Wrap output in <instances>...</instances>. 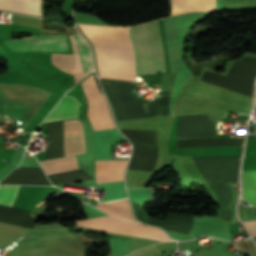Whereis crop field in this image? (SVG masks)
<instances>
[{
    "instance_id": "crop-field-3",
    "label": "crop field",
    "mask_w": 256,
    "mask_h": 256,
    "mask_svg": "<svg viewBox=\"0 0 256 256\" xmlns=\"http://www.w3.org/2000/svg\"><path fill=\"white\" fill-rule=\"evenodd\" d=\"M138 74L165 72L157 20L130 28Z\"/></svg>"
},
{
    "instance_id": "crop-field-20",
    "label": "crop field",
    "mask_w": 256,
    "mask_h": 256,
    "mask_svg": "<svg viewBox=\"0 0 256 256\" xmlns=\"http://www.w3.org/2000/svg\"><path fill=\"white\" fill-rule=\"evenodd\" d=\"M244 224L251 235L256 234V221L244 222Z\"/></svg>"
},
{
    "instance_id": "crop-field-2",
    "label": "crop field",
    "mask_w": 256,
    "mask_h": 256,
    "mask_svg": "<svg viewBox=\"0 0 256 256\" xmlns=\"http://www.w3.org/2000/svg\"><path fill=\"white\" fill-rule=\"evenodd\" d=\"M99 80L117 121L169 115V99L172 90L159 93V99L147 104L132 95V82Z\"/></svg>"
},
{
    "instance_id": "crop-field-7",
    "label": "crop field",
    "mask_w": 256,
    "mask_h": 256,
    "mask_svg": "<svg viewBox=\"0 0 256 256\" xmlns=\"http://www.w3.org/2000/svg\"><path fill=\"white\" fill-rule=\"evenodd\" d=\"M70 38L74 52V82H77L92 70L93 64L86 42L77 33L71 35Z\"/></svg>"
},
{
    "instance_id": "crop-field-12",
    "label": "crop field",
    "mask_w": 256,
    "mask_h": 256,
    "mask_svg": "<svg viewBox=\"0 0 256 256\" xmlns=\"http://www.w3.org/2000/svg\"><path fill=\"white\" fill-rule=\"evenodd\" d=\"M0 9L40 16V0H0Z\"/></svg>"
},
{
    "instance_id": "crop-field-14",
    "label": "crop field",
    "mask_w": 256,
    "mask_h": 256,
    "mask_svg": "<svg viewBox=\"0 0 256 256\" xmlns=\"http://www.w3.org/2000/svg\"><path fill=\"white\" fill-rule=\"evenodd\" d=\"M243 199L256 206V170L242 171Z\"/></svg>"
},
{
    "instance_id": "crop-field-21",
    "label": "crop field",
    "mask_w": 256,
    "mask_h": 256,
    "mask_svg": "<svg viewBox=\"0 0 256 256\" xmlns=\"http://www.w3.org/2000/svg\"><path fill=\"white\" fill-rule=\"evenodd\" d=\"M254 105H256V97H255V104Z\"/></svg>"
},
{
    "instance_id": "crop-field-16",
    "label": "crop field",
    "mask_w": 256,
    "mask_h": 256,
    "mask_svg": "<svg viewBox=\"0 0 256 256\" xmlns=\"http://www.w3.org/2000/svg\"><path fill=\"white\" fill-rule=\"evenodd\" d=\"M21 186L1 185L0 205L11 207Z\"/></svg>"
},
{
    "instance_id": "crop-field-19",
    "label": "crop field",
    "mask_w": 256,
    "mask_h": 256,
    "mask_svg": "<svg viewBox=\"0 0 256 256\" xmlns=\"http://www.w3.org/2000/svg\"><path fill=\"white\" fill-rule=\"evenodd\" d=\"M157 254H161V251L159 250L157 245H153L140 249L129 256H154Z\"/></svg>"
},
{
    "instance_id": "crop-field-6",
    "label": "crop field",
    "mask_w": 256,
    "mask_h": 256,
    "mask_svg": "<svg viewBox=\"0 0 256 256\" xmlns=\"http://www.w3.org/2000/svg\"><path fill=\"white\" fill-rule=\"evenodd\" d=\"M4 43L13 51L45 50L68 52L65 35L32 36L19 40H5Z\"/></svg>"
},
{
    "instance_id": "crop-field-15",
    "label": "crop field",
    "mask_w": 256,
    "mask_h": 256,
    "mask_svg": "<svg viewBox=\"0 0 256 256\" xmlns=\"http://www.w3.org/2000/svg\"><path fill=\"white\" fill-rule=\"evenodd\" d=\"M95 207H97L105 212L117 215L119 217L134 220L131 216L127 199L116 201V202H111V203H98L97 202V205ZM134 221H136V220H134Z\"/></svg>"
},
{
    "instance_id": "crop-field-17",
    "label": "crop field",
    "mask_w": 256,
    "mask_h": 256,
    "mask_svg": "<svg viewBox=\"0 0 256 256\" xmlns=\"http://www.w3.org/2000/svg\"><path fill=\"white\" fill-rule=\"evenodd\" d=\"M51 62L60 70L73 74V55L52 54Z\"/></svg>"
},
{
    "instance_id": "crop-field-8",
    "label": "crop field",
    "mask_w": 256,
    "mask_h": 256,
    "mask_svg": "<svg viewBox=\"0 0 256 256\" xmlns=\"http://www.w3.org/2000/svg\"><path fill=\"white\" fill-rule=\"evenodd\" d=\"M65 156L86 153L82 123L79 120L63 122Z\"/></svg>"
},
{
    "instance_id": "crop-field-4",
    "label": "crop field",
    "mask_w": 256,
    "mask_h": 256,
    "mask_svg": "<svg viewBox=\"0 0 256 256\" xmlns=\"http://www.w3.org/2000/svg\"><path fill=\"white\" fill-rule=\"evenodd\" d=\"M76 224L91 227L100 231L122 233L162 241L171 240L164 232L157 228L148 226L144 227L140 223H133L113 216L78 220L76 221Z\"/></svg>"
},
{
    "instance_id": "crop-field-9",
    "label": "crop field",
    "mask_w": 256,
    "mask_h": 256,
    "mask_svg": "<svg viewBox=\"0 0 256 256\" xmlns=\"http://www.w3.org/2000/svg\"><path fill=\"white\" fill-rule=\"evenodd\" d=\"M128 160L95 161L96 182L123 180V173Z\"/></svg>"
},
{
    "instance_id": "crop-field-10",
    "label": "crop field",
    "mask_w": 256,
    "mask_h": 256,
    "mask_svg": "<svg viewBox=\"0 0 256 256\" xmlns=\"http://www.w3.org/2000/svg\"><path fill=\"white\" fill-rule=\"evenodd\" d=\"M79 105L75 97L65 95L44 122L77 118Z\"/></svg>"
},
{
    "instance_id": "crop-field-18",
    "label": "crop field",
    "mask_w": 256,
    "mask_h": 256,
    "mask_svg": "<svg viewBox=\"0 0 256 256\" xmlns=\"http://www.w3.org/2000/svg\"><path fill=\"white\" fill-rule=\"evenodd\" d=\"M235 246L240 249L246 256H256V248L252 241L244 240L240 242H234Z\"/></svg>"
},
{
    "instance_id": "crop-field-13",
    "label": "crop field",
    "mask_w": 256,
    "mask_h": 256,
    "mask_svg": "<svg viewBox=\"0 0 256 256\" xmlns=\"http://www.w3.org/2000/svg\"><path fill=\"white\" fill-rule=\"evenodd\" d=\"M46 175L79 168L75 156L39 162Z\"/></svg>"
},
{
    "instance_id": "crop-field-5",
    "label": "crop field",
    "mask_w": 256,
    "mask_h": 256,
    "mask_svg": "<svg viewBox=\"0 0 256 256\" xmlns=\"http://www.w3.org/2000/svg\"><path fill=\"white\" fill-rule=\"evenodd\" d=\"M84 93L89 101L87 117L93 130L115 128L109 114L108 105L101 93H99L93 75L81 83Z\"/></svg>"
},
{
    "instance_id": "crop-field-11",
    "label": "crop field",
    "mask_w": 256,
    "mask_h": 256,
    "mask_svg": "<svg viewBox=\"0 0 256 256\" xmlns=\"http://www.w3.org/2000/svg\"><path fill=\"white\" fill-rule=\"evenodd\" d=\"M171 15L188 11H215V0H171Z\"/></svg>"
},
{
    "instance_id": "crop-field-1",
    "label": "crop field",
    "mask_w": 256,
    "mask_h": 256,
    "mask_svg": "<svg viewBox=\"0 0 256 256\" xmlns=\"http://www.w3.org/2000/svg\"><path fill=\"white\" fill-rule=\"evenodd\" d=\"M79 26L96 48L101 77L135 81L134 54L127 27Z\"/></svg>"
}]
</instances>
